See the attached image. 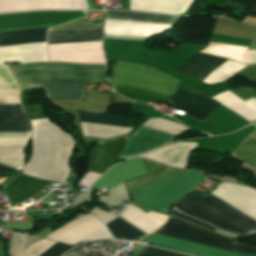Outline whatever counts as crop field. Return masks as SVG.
Returning a JSON list of instances; mask_svg holds the SVG:
<instances>
[{
  "instance_id": "ac0d7876",
  "label": "crop field",
  "mask_w": 256,
  "mask_h": 256,
  "mask_svg": "<svg viewBox=\"0 0 256 256\" xmlns=\"http://www.w3.org/2000/svg\"><path fill=\"white\" fill-rule=\"evenodd\" d=\"M157 231L246 255L256 256L255 248L237 244L238 239L222 236L171 216L167 223ZM181 238L155 232L145 242L201 256H246Z\"/></svg>"
},
{
  "instance_id": "eef30255",
  "label": "crop field",
  "mask_w": 256,
  "mask_h": 256,
  "mask_svg": "<svg viewBox=\"0 0 256 256\" xmlns=\"http://www.w3.org/2000/svg\"><path fill=\"white\" fill-rule=\"evenodd\" d=\"M92 212L95 214L96 217H98L104 223L112 220L115 217V215L110 212L104 213V212L99 211L96 208L94 210H92Z\"/></svg>"
},
{
  "instance_id": "28ad6ade",
  "label": "crop field",
  "mask_w": 256,
  "mask_h": 256,
  "mask_svg": "<svg viewBox=\"0 0 256 256\" xmlns=\"http://www.w3.org/2000/svg\"><path fill=\"white\" fill-rule=\"evenodd\" d=\"M227 59L196 53L179 67L176 73L203 81Z\"/></svg>"
},
{
  "instance_id": "22f410ed",
  "label": "crop field",
  "mask_w": 256,
  "mask_h": 256,
  "mask_svg": "<svg viewBox=\"0 0 256 256\" xmlns=\"http://www.w3.org/2000/svg\"><path fill=\"white\" fill-rule=\"evenodd\" d=\"M126 137L116 141L104 143L98 139L96 146L90 153V165L88 170L101 173L112 165L122 151Z\"/></svg>"
},
{
  "instance_id": "dafd665d",
  "label": "crop field",
  "mask_w": 256,
  "mask_h": 256,
  "mask_svg": "<svg viewBox=\"0 0 256 256\" xmlns=\"http://www.w3.org/2000/svg\"><path fill=\"white\" fill-rule=\"evenodd\" d=\"M53 243H55V242L41 240V241L37 242L36 244L27 248L24 255L25 256H39L42 252H44ZM70 247L71 246L56 242L50 248H48L44 253H42L40 256H59L64 250H66Z\"/></svg>"
},
{
  "instance_id": "4a817a6b",
  "label": "crop field",
  "mask_w": 256,
  "mask_h": 256,
  "mask_svg": "<svg viewBox=\"0 0 256 256\" xmlns=\"http://www.w3.org/2000/svg\"><path fill=\"white\" fill-rule=\"evenodd\" d=\"M102 41V29L91 30H50L48 44Z\"/></svg>"
},
{
  "instance_id": "5142ce71",
  "label": "crop field",
  "mask_w": 256,
  "mask_h": 256,
  "mask_svg": "<svg viewBox=\"0 0 256 256\" xmlns=\"http://www.w3.org/2000/svg\"><path fill=\"white\" fill-rule=\"evenodd\" d=\"M119 217L148 235L162 226L168 216L152 211L145 214L130 204Z\"/></svg>"
},
{
  "instance_id": "8a807250",
  "label": "crop field",
  "mask_w": 256,
  "mask_h": 256,
  "mask_svg": "<svg viewBox=\"0 0 256 256\" xmlns=\"http://www.w3.org/2000/svg\"><path fill=\"white\" fill-rule=\"evenodd\" d=\"M211 194L256 220V189L222 183ZM213 196H202L193 189L175 206L220 229L243 235L256 234L255 220Z\"/></svg>"
},
{
  "instance_id": "3316defc",
  "label": "crop field",
  "mask_w": 256,
  "mask_h": 256,
  "mask_svg": "<svg viewBox=\"0 0 256 256\" xmlns=\"http://www.w3.org/2000/svg\"><path fill=\"white\" fill-rule=\"evenodd\" d=\"M175 136L140 127L132 134L119 158L127 159L139 153L171 142Z\"/></svg>"
},
{
  "instance_id": "00972430",
  "label": "crop field",
  "mask_w": 256,
  "mask_h": 256,
  "mask_svg": "<svg viewBox=\"0 0 256 256\" xmlns=\"http://www.w3.org/2000/svg\"><path fill=\"white\" fill-rule=\"evenodd\" d=\"M233 152L256 169V129Z\"/></svg>"
},
{
  "instance_id": "bd1437ed",
  "label": "crop field",
  "mask_w": 256,
  "mask_h": 256,
  "mask_svg": "<svg viewBox=\"0 0 256 256\" xmlns=\"http://www.w3.org/2000/svg\"><path fill=\"white\" fill-rule=\"evenodd\" d=\"M13 170H14V169H12V168H9V167L0 165V174H2V173H8V172H11V171H13Z\"/></svg>"
},
{
  "instance_id": "34b2d1b8",
  "label": "crop field",
  "mask_w": 256,
  "mask_h": 256,
  "mask_svg": "<svg viewBox=\"0 0 256 256\" xmlns=\"http://www.w3.org/2000/svg\"><path fill=\"white\" fill-rule=\"evenodd\" d=\"M8 67L22 89L40 87L38 82L53 79L78 82L107 80L105 65L50 62Z\"/></svg>"
},
{
  "instance_id": "412701ff",
  "label": "crop field",
  "mask_w": 256,
  "mask_h": 256,
  "mask_svg": "<svg viewBox=\"0 0 256 256\" xmlns=\"http://www.w3.org/2000/svg\"><path fill=\"white\" fill-rule=\"evenodd\" d=\"M110 82L117 90L169 99L178 82L153 69L117 63L111 66Z\"/></svg>"
},
{
  "instance_id": "dd49c442",
  "label": "crop field",
  "mask_w": 256,
  "mask_h": 256,
  "mask_svg": "<svg viewBox=\"0 0 256 256\" xmlns=\"http://www.w3.org/2000/svg\"><path fill=\"white\" fill-rule=\"evenodd\" d=\"M203 178L202 173L187 170L170 179L133 191V198L149 209L168 214L172 205Z\"/></svg>"
},
{
  "instance_id": "5a996713",
  "label": "crop field",
  "mask_w": 256,
  "mask_h": 256,
  "mask_svg": "<svg viewBox=\"0 0 256 256\" xmlns=\"http://www.w3.org/2000/svg\"><path fill=\"white\" fill-rule=\"evenodd\" d=\"M175 110L199 120L206 119L220 104L203 95L178 89L171 100Z\"/></svg>"
},
{
  "instance_id": "730fd06b",
  "label": "crop field",
  "mask_w": 256,
  "mask_h": 256,
  "mask_svg": "<svg viewBox=\"0 0 256 256\" xmlns=\"http://www.w3.org/2000/svg\"><path fill=\"white\" fill-rule=\"evenodd\" d=\"M137 256H184V255L147 247L141 253H139Z\"/></svg>"
},
{
  "instance_id": "cbeb9de0",
  "label": "crop field",
  "mask_w": 256,
  "mask_h": 256,
  "mask_svg": "<svg viewBox=\"0 0 256 256\" xmlns=\"http://www.w3.org/2000/svg\"><path fill=\"white\" fill-rule=\"evenodd\" d=\"M46 183L47 181L19 174L5 186L4 194L8 203H18L29 198L40 190Z\"/></svg>"
},
{
  "instance_id": "f4fd0767",
  "label": "crop field",
  "mask_w": 256,
  "mask_h": 256,
  "mask_svg": "<svg viewBox=\"0 0 256 256\" xmlns=\"http://www.w3.org/2000/svg\"><path fill=\"white\" fill-rule=\"evenodd\" d=\"M0 130H30L22 105H0ZM30 131H0V148L24 147ZM23 148L0 149V163L20 171Z\"/></svg>"
},
{
  "instance_id": "e52e79f7",
  "label": "crop field",
  "mask_w": 256,
  "mask_h": 256,
  "mask_svg": "<svg viewBox=\"0 0 256 256\" xmlns=\"http://www.w3.org/2000/svg\"><path fill=\"white\" fill-rule=\"evenodd\" d=\"M48 239L75 245L95 239L111 238L105 226L92 214L80 215L77 219L56 230Z\"/></svg>"
},
{
  "instance_id": "214f88e0",
  "label": "crop field",
  "mask_w": 256,
  "mask_h": 256,
  "mask_svg": "<svg viewBox=\"0 0 256 256\" xmlns=\"http://www.w3.org/2000/svg\"><path fill=\"white\" fill-rule=\"evenodd\" d=\"M46 40V27L0 32V45Z\"/></svg>"
},
{
  "instance_id": "92a150f3",
  "label": "crop field",
  "mask_w": 256,
  "mask_h": 256,
  "mask_svg": "<svg viewBox=\"0 0 256 256\" xmlns=\"http://www.w3.org/2000/svg\"><path fill=\"white\" fill-rule=\"evenodd\" d=\"M106 19L175 23L178 17L145 13L106 11Z\"/></svg>"
},
{
  "instance_id": "d9b57169",
  "label": "crop field",
  "mask_w": 256,
  "mask_h": 256,
  "mask_svg": "<svg viewBox=\"0 0 256 256\" xmlns=\"http://www.w3.org/2000/svg\"><path fill=\"white\" fill-rule=\"evenodd\" d=\"M192 0H130L129 10L181 14Z\"/></svg>"
},
{
  "instance_id": "750c4746",
  "label": "crop field",
  "mask_w": 256,
  "mask_h": 256,
  "mask_svg": "<svg viewBox=\"0 0 256 256\" xmlns=\"http://www.w3.org/2000/svg\"><path fill=\"white\" fill-rule=\"evenodd\" d=\"M21 248H22V243L16 244V245H12L10 247V254H11V256H22Z\"/></svg>"
},
{
  "instance_id": "d1516ede",
  "label": "crop field",
  "mask_w": 256,
  "mask_h": 256,
  "mask_svg": "<svg viewBox=\"0 0 256 256\" xmlns=\"http://www.w3.org/2000/svg\"><path fill=\"white\" fill-rule=\"evenodd\" d=\"M195 146L196 144L193 142L174 143L141 156L166 165L184 168L186 160Z\"/></svg>"
},
{
  "instance_id": "d3111659",
  "label": "crop field",
  "mask_w": 256,
  "mask_h": 256,
  "mask_svg": "<svg viewBox=\"0 0 256 256\" xmlns=\"http://www.w3.org/2000/svg\"><path fill=\"white\" fill-rule=\"evenodd\" d=\"M243 57L247 63H256V51H246Z\"/></svg>"
},
{
  "instance_id": "bc2a9ffb",
  "label": "crop field",
  "mask_w": 256,
  "mask_h": 256,
  "mask_svg": "<svg viewBox=\"0 0 256 256\" xmlns=\"http://www.w3.org/2000/svg\"><path fill=\"white\" fill-rule=\"evenodd\" d=\"M40 85L47 99L83 100L85 85L65 82H46Z\"/></svg>"
},
{
  "instance_id": "4177f3b9",
  "label": "crop field",
  "mask_w": 256,
  "mask_h": 256,
  "mask_svg": "<svg viewBox=\"0 0 256 256\" xmlns=\"http://www.w3.org/2000/svg\"><path fill=\"white\" fill-rule=\"evenodd\" d=\"M106 226L116 238L135 239L138 238L140 235L144 234L119 217H117L112 222L106 224Z\"/></svg>"
},
{
  "instance_id": "d8731c3e",
  "label": "crop field",
  "mask_w": 256,
  "mask_h": 256,
  "mask_svg": "<svg viewBox=\"0 0 256 256\" xmlns=\"http://www.w3.org/2000/svg\"><path fill=\"white\" fill-rule=\"evenodd\" d=\"M32 155L21 173L39 178L45 168L51 150L50 121L47 118L31 120Z\"/></svg>"
},
{
  "instance_id": "733c2abd",
  "label": "crop field",
  "mask_w": 256,
  "mask_h": 256,
  "mask_svg": "<svg viewBox=\"0 0 256 256\" xmlns=\"http://www.w3.org/2000/svg\"><path fill=\"white\" fill-rule=\"evenodd\" d=\"M142 159V158H141ZM149 174L125 181L126 191H131L146 184L162 180L170 175L179 173L184 169H175L166 165L142 159Z\"/></svg>"
},
{
  "instance_id": "a9b5d70f",
  "label": "crop field",
  "mask_w": 256,
  "mask_h": 256,
  "mask_svg": "<svg viewBox=\"0 0 256 256\" xmlns=\"http://www.w3.org/2000/svg\"><path fill=\"white\" fill-rule=\"evenodd\" d=\"M80 123L83 130V134L87 136L110 138L118 134L128 133L131 130L83 122Z\"/></svg>"
},
{
  "instance_id": "1d83c4d3",
  "label": "crop field",
  "mask_w": 256,
  "mask_h": 256,
  "mask_svg": "<svg viewBox=\"0 0 256 256\" xmlns=\"http://www.w3.org/2000/svg\"><path fill=\"white\" fill-rule=\"evenodd\" d=\"M250 66H252L254 69H256V65H250Z\"/></svg>"
},
{
  "instance_id": "ae1a2a85",
  "label": "crop field",
  "mask_w": 256,
  "mask_h": 256,
  "mask_svg": "<svg viewBox=\"0 0 256 256\" xmlns=\"http://www.w3.org/2000/svg\"><path fill=\"white\" fill-rule=\"evenodd\" d=\"M172 215L177 216V217L182 218V219H185V220L190 221V222H192V223L198 224V225H200V226L209 228V229H211V230H213V231H214V229H215V228H213V227H211V226H209V225H207V224L201 223V222H199V221H196V220H194V219H191V218H189V217H186V216L181 215V214H179V213H177V212H174V211L172 212Z\"/></svg>"
}]
</instances>
